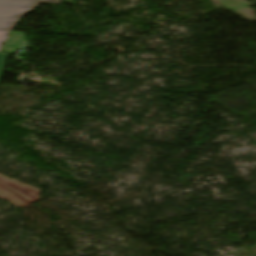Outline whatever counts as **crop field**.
Wrapping results in <instances>:
<instances>
[{
    "instance_id": "crop-field-1",
    "label": "crop field",
    "mask_w": 256,
    "mask_h": 256,
    "mask_svg": "<svg viewBox=\"0 0 256 256\" xmlns=\"http://www.w3.org/2000/svg\"><path fill=\"white\" fill-rule=\"evenodd\" d=\"M40 2L60 3V0H0V29L12 30L19 18Z\"/></svg>"
},
{
    "instance_id": "crop-field-2",
    "label": "crop field",
    "mask_w": 256,
    "mask_h": 256,
    "mask_svg": "<svg viewBox=\"0 0 256 256\" xmlns=\"http://www.w3.org/2000/svg\"><path fill=\"white\" fill-rule=\"evenodd\" d=\"M10 32L11 31L0 30V49L4 42L6 41L7 37L9 36Z\"/></svg>"
},
{
    "instance_id": "crop-field-3",
    "label": "crop field",
    "mask_w": 256,
    "mask_h": 256,
    "mask_svg": "<svg viewBox=\"0 0 256 256\" xmlns=\"http://www.w3.org/2000/svg\"><path fill=\"white\" fill-rule=\"evenodd\" d=\"M7 56L8 55H6V54H0V77H1V74L4 70Z\"/></svg>"
}]
</instances>
